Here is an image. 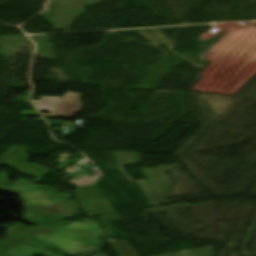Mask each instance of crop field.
<instances>
[{"label": "crop field", "instance_id": "crop-field-1", "mask_svg": "<svg viewBox=\"0 0 256 256\" xmlns=\"http://www.w3.org/2000/svg\"><path fill=\"white\" fill-rule=\"evenodd\" d=\"M81 95L67 92L63 99L54 97H40L41 100H33L39 111H50V114H43L44 117L72 118L73 113L82 110V103H79Z\"/></svg>", "mask_w": 256, "mask_h": 256}, {"label": "crop field", "instance_id": "crop-field-2", "mask_svg": "<svg viewBox=\"0 0 256 256\" xmlns=\"http://www.w3.org/2000/svg\"><path fill=\"white\" fill-rule=\"evenodd\" d=\"M77 192L89 214L96 215L115 212L95 186L81 188Z\"/></svg>", "mask_w": 256, "mask_h": 256}, {"label": "crop field", "instance_id": "crop-field-3", "mask_svg": "<svg viewBox=\"0 0 256 256\" xmlns=\"http://www.w3.org/2000/svg\"><path fill=\"white\" fill-rule=\"evenodd\" d=\"M119 256H138L127 241L108 240Z\"/></svg>", "mask_w": 256, "mask_h": 256}, {"label": "crop field", "instance_id": "crop-field-4", "mask_svg": "<svg viewBox=\"0 0 256 256\" xmlns=\"http://www.w3.org/2000/svg\"><path fill=\"white\" fill-rule=\"evenodd\" d=\"M22 102H28L33 111H21L23 116H40L33 104L30 102L29 97H22Z\"/></svg>", "mask_w": 256, "mask_h": 256}, {"label": "crop field", "instance_id": "crop-field-5", "mask_svg": "<svg viewBox=\"0 0 256 256\" xmlns=\"http://www.w3.org/2000/svg\"><path fill=\"white\" fill-rule=\"evenodd\" d=\"M14 146H11V148L8 150L7 153L1 154L0 156V165L3 164V162L5 161V159L7 158V156L9 155V153L11 152V150L13 149Z\"/></svg>", "mask_w": 256, "mask_h": 256}, {"label": "crop field", "instance_id": "crop-field-6", "mask_svg": "<svg viewBox=\"0 0 256 256\" xmlns=\"http://www.w3.org/2000/svg\"><path fill=\"white\" fill-rule=\"evenodd\" d=\"M77 160H80V158H77V159H74V160H71V161H68V162H66V161H64V162H62V161H60L61 163H59V164H61L62 166H64V165H67V164H69V163H72V162H74V161H77ZM59 168V167H58Z\"/></svg>", "mask_w": 256, "mask_h": 256}, {"label": "crop field", "instance_id": "crop-field-7", "mask_svg": "<svg viewBox=\"0 0 256 256\" xmlns=\"http://www.w3.org/2000/svg\"><path fill=\"white\" fill-rule=\"evenodd\" d=\"M97 256H100V255H97Z\"/></svg>", "mask_w": 256, "mask_h": 256}]
</instances>
